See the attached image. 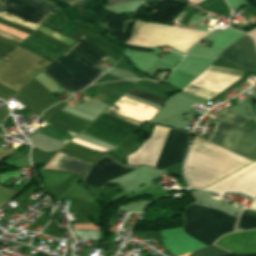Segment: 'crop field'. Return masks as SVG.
<instances>
[{
  "label": "crop field",
  "mask_w": 256,
  "mask_h": 256,
  "mask_svg": "<svg viewBox=\"0 0 256 256\" xmlns=\"http://www.w3.org/2000/svg\"><path fill=\"white\" fill-rule=\"evenodd\" d=\"M228 252L211 245L205 249L197 250L190 256H222L227 254Z\"/></svg>",
  "instance_id": "crop-field-16"
},
{
  "label": "crop field",
  "mask_w": 256,
  "mask_h": 256,
  "mask_svg": "<svg viewBox=\"0 0 256 256\" xmlns=\"http://www.w3.org/2000/svg\"><path fill=\"white\" fill-rule=\"evenodd\" d=\"M20 47H22V48H24V49H26V50H28V51H30V52H32V53H34V54H36V55H38V56H40V57H42V58H44V59H46V60L51 62V60H50L51 57H49V56H47V55H45V54H43V53H41V52L31 48V47H29V46H27V45H25L23 43L20 45Z\"/></svg>",
  "instance_id": "crop-field-21"
},
{
  "label": "crop field",
  "mask_w": 256,
  "mask_h": 256,
  "mask_svg": "<svg viewBox=\"0 0 256 256\" xmlns=\"http://www.w3.org/2000/svg\"><path fill=\"white\" fill-rule=\"evenodd\" d=\"M89 165L90 163L76 160L62 154H60L52 164V166L60 168L62 170L72 171L79 174H83V172L87 169Z\"/></svg>",
  "instance_id": "crop-field-14"
},
{
  "label": "crop field",
  "mask_w": 256,
  "mask_h": 256,
  "mask_svg": "<svg viewBox=\"0 0 256 256\" xmlns=\"http://www.w3.org/2000/svg\"><path fill=\"white\" fill-rule=\"evenodd\" d=\"M38 133L52 137L65 143H67L73 136L78 134L75 131L51 122L45 125L41 130H39Z\"/></svg>",
  "instance_id": "crop-field-13"
},
{
  "label": "crop field",
  "mask_w": 256,
  "mask_h": 256,
  "mask_svg": "<svg viewBox=\"0 0 256 256\" xmlns=\"http://www.w3.org/2000/svg\"><path fill=\"white\" fill-rule=\"evenodd\" d=\"M110 1H111V5H113V4H119V3L133 1V0H110Z\"/></svg>",
  "instance_id": "crop-field-23"
},
{
  "label": "crop field",
  "mask_w": 256,
  "mask_h": 256,
  "mask_svg": "<svg viewBox=\"0 0 256 256\" xmlns=\"http://www.w3.org/2000/svg\"><path fill=\"white\" fill-rule=\"evenodd\" d=\"M201 1H203V0H188V2H192V3H195V4H197V3L201 2Z\"/></svg>",
  "instance_id": "crop-field-28"
},
{
  "label": "crop field",
  "mask_w": 256,
  "mask_h": 256,
  "mask_svg": "<svg viewBox=\"0 0 256 256\" xmlns=\"http://www.w3.org/2000/svg\"><path fill=\"white\" fill-rule=\"evenodd\" d=\"M247 33H249L254 38V40L256 42V28L251 31H248Z\"/></svg>",
  "instance_id": "crop-field-24"
},
{
  "label": "crop field",
  "mask_w": 256,
  "mask_h": 256,
  "mask_svg": "<svg viewBox=\"0 0 256 256\" xmlns=\"http://www.w3.org/2000/svg\"><path fill=\"white\" fill-rule=\"evenodd\" d=\"M237 219L221 211L192 205L185 209L184 231L198 241L210 244L221 235L233 232Z\"/></svg>",
  "instance_id": "crop-field-4"
},
{
  "label": "crop field",
  "mask_w": 256,
  "mask_h": 256,
  "mask_svg": "<svg viewBox=\"0 0 256 256\" xmlns=\"http://www.w3.org/2000/svg\"><path fill=\"white\" fill-rule=\"evenodd\" d=\"M114 105L120 107V109L117 110L110 107L108 110L105 111V113L139 126L145 122H148L158 111V109L124 97H122Z\"/></svg>",
  "instance_id": "crop-field-9"
},
{
  "label": "crop field",
  "mask_w": 256,
  "mask_h": 256,
  "mask_svg": "<svg viewBox=\"0 0 256 256\" xmlns=\"http://www.w3.org/2000/svg\"><path fill=\"white\" fill-rule=\"evenodd\" d=\"M53 13L40 10L20 0H0V17L35 30Z\"/></svg>",
  "instance_id": "crop-field-7"
},
{
  "label": "crop field",
  "mask_w": 256,
  "mask_h": 256,
  "mask_svg": "<svg viewBox=\"0 0 256 256\" xmlns=\"http://www.w3.org/2000/svg\"><path fill=\"white\" fill-rule=\"evenodd\" d=\"M205 20H206V18H205V17H203V19H202V21H201V22H202V23H204V21H205Z\"/></svg>",
  "instance_id": "crop-field-31"
},
{
  "label": "crop field",
  "mask_w": 256,
  "mask_h": 256,
  "mask_svg": "<svg viewBox=\"0 0 256 256\" xmlns=\"http://www.w3.org/2000/svg\"><path fill=\"white\" fill-rule=\"evenodd\" d=\"M127 94H130L132 96H135V97H138V98H141V99H144L146 101H149V102H152V103H155L157 105H160L162 106V104L164 103V100L162 99H159V98H156L154 96H151V95H148L146 93H143L141 91H138V90H135L133 88H131Z\"/></svg>",
  "instance_id": "crop-field-17"
},
{
  "label": "crop field",
  "mask_w": 256,
  "mask_h": 256,
  "mask_svg": "<svg viewBox=\"0 0 256 256\" xmlns=\"http://www.w3.org/2000/svg\"><path fill=\"white\" fill-rule=\"evenodd\" d=\"M207 33L136 21L132 37L126 43L147 47L168 45L185 53L188 47Z\"/></svg>",
  "instance_id": "crop-field-5"
},
{
  "label": "crop field",
  "mask_w": 256,
  "mask_h": 256,
  "mask_svg": "<svg viewBox=\"0 0 256 256\" xmlns=\"http://www.w3.org/2000/svg\"><path fill=\"white\" fill-rule=\"evenodd\" d=\"M215 244L229 251L256 252V230L224 235Z\"/></svg>",
  "instance_id": "crop-field-11"
},
{
  "label": "crop field",
  "mask_w": 256,
  "mask_h": 256,
  "mask_svg": "<svg viewBox=\"0 0 256 256\" xmlns=\"http://www.w3.org/2000/svg\"><path fill=\"white\" fill-rule=\"evenodd\" d=\"M169 130L168 128L155 126L151 138L129 156L128 164H148L156 167ZM187 139L188 134L171 129L156 168L163 170L181 162L187 148Z\"/></svg>",
  "instance_id": "crop-field-3"
},
{
  "label": "crop field",
  "mask_w": 256,
  "mask_h": 256,
  "mask_svg": "<svg viewBox=\"0 0 256 256\" xmlns=\"http://www.w3.org/2000/svg\"><path fill=\"white\" fill-rule=\"evenodd\" d=\"M8 54H9V52L0 49V55L6 56Z\"/></svg>",
  "instance_id": "crop-field-27"
},
{
  "label": "crop field",
  "mask_w": 256,
  "mask_h": 256,
  "mask_svg": "<svg viewBox=\"0 0 256 256\" xmlns=\"http://www.w3.org/2000/svg\"><path fill=\"white\" fill-rule=\"evenodd\" d=\"M251 162L196 137L187 159L186 175L192 186L204 188Z\"/></svg>",
  "instance_id": "crop-field-2"
},
{
  "label": "crop field",
  "mask_w": 256,
  "mask_h": 256,
  "mask_svg": "<svg viewBox=\"0 0 256 256\" xmlns=\"http://www.w3.org/2000/svg\"><path fill=\"white\" fill-rule=\"evenodd\" d=\"M24 1L30 3L34 6H37V7H40L42 9L48 10V11H54L56 9H59L56 6H52V5L46 4V3L38 1V0H24Z\"/></svg>",
  "instance_id": "crop-field-20"
},
{
  "label": "crop field",
  "mask_w": 256,
  "mask_h": 256,
  "mask_svg": "<svg viewBox=\"0 0 256 256\" xmlns=\"http://www.w3.org/2000/svg\"><path fill=\"white\" fill-rule=\"evenodd\" d=\"M60 1H63V2H66V3H69V4H72L78 0H60Z\"/></svg>",
  "instance_id": "crop-field-26"
},
{
  "label": "crop field",
  "mask_w": 256,
  "mask_h": 256,
  "mask_svg": "<svg viewBox=\"0 0 256 256\" xmlns=\"http://www.w3.org/2000/svg\"><path fill=\"white\" fill-rule=\"evenodd\" d=\"M138 128L136 125L102 113L82 133L86 134L85 136L118 147L120 143L126 140Z\"/></svg>",
  "instance_id": "crop-field-6"
},
{
  "label": "crop field",
  "mask_w": 256,
  "mask_h": 256,
  "mask_svg": "<svg viewBox=\"0 0 256 256\" xmlns=\"http://www.w3.org/2000/svg\"><path fill=\"white\" fill-rule=\"evenodd\" d=\"M250 209H251V210H256V198L253 200Z\"/></svg>",
  "instance_id": "crop-field-25"
},
{
  "label": "crop field",
  "mask_w": 256,
  "mask_h": 256,
  "mask_svg": "<svg viewBox=\"0 0 256 256\" xmlns=\"http://www.w3.org/2000/svg\"><path fill=\"white\" fill-rule=\"evenodd\" d=\"M154 1H174V0H154Z\"/></svg>",
  "instance_id": "crop-field-30"
},
{
  "label": "crop field",
  "mask_w": 256,
  "mask_h": 256,
  "mask_svg": "<svg viewBox=\"0 0 256 256\" xmlns=\"http://www.w3.org/2000/svg\"><path fill=\"white\" fill-rule=\"evenodd\" d=\"M133 170L135 169L122 167L104 156L94 164L83 181L87 185L100 187L104 183Z\"/></svg>",
  "instance_id": "crop-field-10"
},
{
  "label": "crop field",
  "mask_w": 256,
  "mask_h": 256,
  "mask_svg": "<svg viewBox=\"0 0 256 256\" xmlns=\"http://www.w3.org/2000/svg\"><path fill=\"white\" fill-rule=\"evenodd\" d=\"M57 116L65 119V120H68L70 122H73V123L79 124L81 126H84V127H86L90 123V121L81 119L79 117H76V116L71 115L69 113H66L64 111L60 112Z\"/></svg>",
  "instance_id": "crop-field-18"
},
{
  "label": "crop field",
  "mask_w": 256,
  "mask_h": 256,
  "mask_svg": "<svg viewBox=\"0 0 256 256\" xmlns=\"http://www.w3.org/2000/svg\"><path fill=\"white\" fill-rule=\"evenodd\" d=\"M238 79L237 77L203 71L191 84L220 93Z\"/></svg>",
  "instance_id": "crop-field-12"
},
{
  "label": "crop field",
  "mask_w": 256,
  "mask_h": 256,
  "mask_svg": "<svg viewBox=\"0 0 256 256\" xmlns=\"http://www.w3.org/2000/svg\"><path fill=\"white\" fill-rule=\"evenodd\" d=\"M203 190L220 194L225 191L242 192L252 198L256 197V162Z\"/></svg>",
  "instance_id": "crop-field-8"
},
{
  "label": "crop field",
  "mask_w": 256,
  "mask_h": 256,
  "mask_svg": "<svg viewBox=\"0 0 256 256\" xmlns=\"http://www.w3.org/2000/svg\"><path fill=\"white\" fill-rule=\"evenodd\" d=\"M87 1H89V0H80V1H78V2H76V3H78V4H83V3L87 2Z\"/></svg>",
  "instance_id": "crop-field-29"
},
{
  "label": "crop field",
  "mask_w": 256,
  "mask_h": 256,
  "mask_svg": "<svg viewBox=\"0 0 256 256\" xmlns=\"http://www.w3.org/2000/svg\"><path fill=\"white\" fill-rule=\"evenodd\" d=\"M236 228H239V230L256 228V216L243 212Z\"/></svg>",
  "instance_id": "crop-field-15"
},
{
  "label": "crop field",
  "mask_w": 256,
  "mask_h": 256,
  "mask_svg": "<svg viewBox=\"0 0 256 256\" xmlns=\"http://www.w3.org/2000/svg\"><path fill=\"white\" fill-rule=\"evenodd\" d=\"M108 58L82 36L42 72L73 95L104 74L96 66Z\"/></svg>",
  "instance_id": "crop-field-1"
},
{
  "label": "crop field",
  "mask_w": 256,
  "mask_h": 256,
  "mask_svg": "<svg viewBox=\"0 0 256 256\" xmlns=\"http://www.w3.org/2000/svg\"><path fill=\"white\" fill-rule=\"evenodd\" d=\"M63 20H64V16L62 15V13L60 11H58L51 19H49L46 22V24H49V25L59 28L60 25L62 24Z\"/></svg>",
  "instance_id": "crop-field-19"
},
{
  "label": "crop field",
  "mask_w": 256,
  "mask_h": 256,
  "mask_svg": "<svg viewBox=\"0 0 256 256\" xmlns=\"http://www.w3.org/2000/svg\"><path fill=\"white\" fill-rule=\"evenodd\" d=\"M72 142L81 144V145H83V146H86V147H89V148H92V149H95V150H98V151H101V152L107 151V150H105V149L99 148V147L94 146V145H92V144H89V143H86V142H84V141L78 140V139H76V138H74V139L72 140Z\"/></svg>",
  "instance_id": "crop-field-22"
}]
</instances>
